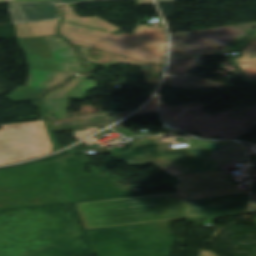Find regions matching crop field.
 <instances>
[{
	"mask_svg": "<svg viewBox=\"0 0 256 256\" xmlns=\"http://www.w3.org/2000/svg\"><path fill=\"white\" fill-rule=\"evenodd\" d=\"M225 171L177 176L175 194L188 200L239 194V187ZM186 200L174 195H158L79 204L89 228L187 218Z\"/></svg>",
	"mask_w": 256,
	"mask_h": 256,
	"instance_id": "obj_1",
	"label": "crop field"
},
{
	"mask_svg": "<svg viewBox=\"0 0 256 256\" xmlns=\"http://www.w3.org/2000/svg\"><path fill=\"white\" fill-rule=\"evenodd\" d=\"M65 21L60 32L73 44L160 65L167 49L164 27L136 26L134 35L112 32L120 29L99 17L79 18L74 8L64 5Z\"/></svg>",
	"mask_w": 256,
	"mask_h": 256,
	"instance_id": "obj_2",
	"label": "crop field"
},
{
	"mask_svg": "<svg viewBox=\"0 0 256 256\" xmlns=\"http://www.w3.org/2000/svg\"><path fill=\"white\" fill-rule=\"evenodd\" d=\"M17 40L26 51L30 78L27 87H17L7 96L12 101L36 99L73 72H84L81 58L60 35Z\"/></svg>",
	"mask_w": 256,
	"mask_h": 256,
	"instance_id": "obj_3",
	"label": "crop field"
},
{
	"mask_svg": "<svg viewBox=\"0 0 256 256\" xmlns=\"http://www.w3.org/2000/svg\"><path fill=\"white\" fill-rule=\"evenodd\" d=\"M130 166L154 163L162 167L178 166L183 174L220 170L207 152L153 158L139 143H133L125 152L116 157Z\"/></svg>",
	"mask_w": 256,
	"mask_h": 256,
	"instance_id": "obj_4",
	"label": "crop field"
},
{
	"mask_svg": "<svg viewBox=\"0 0 256 256\" xmlns=\"http://www.w3.org/2000/svg\"><path fill=\"white\" fill-rule=\"evenodd\" d=\"M191 207L189 217L217 219L220 216H239L248 212V195L187 202Z\"/></svg>",
	"mask_w": 256,
	"mask_h": 256,
	"instance_id": "obj_5",
	"label": "crop field"
},
{
	"mask_svg": "<svg viewBox=\"0 0 256 256\" xmlns=\"http://www.w3.org/2000/svg\"><path fill=\"white\" fill-rule=\"evenodd\" d=\"M84 79L75 76L66 85L44 96L41 101L47 111L53 110L59 120L68 118L69 98L84 100L87 91L95 88V82Z\"/></svg>",
	"mask_w": 256,
	"mask_h": 256,
	"instance_id": "obj_6",
	"label": "crop field"
},
{
	"mask_svg": "<svg viewBox=\"0 0 256 256\" xmlns=\"http://www.w3.org/2000/svg\"><path fill=\"white\" fill-rule=\"evenodd\" d=\"M79 48L87 61L99 63L103 67H109L119 63L143 67V73L147 80V84H159L157 75L162 73L163 67L146 64L130 58L124 59L122 56H116L111 53L101 52L81 46H79Z\"/></svg>",
	"mask_w": 256,
	"mask_h": 256,
	"instance_id": "obj_7",
	"label": "crop field"
},
{
	"mask_svg": "<svg viewBox=\"0 0 256 256\" xmlns=\"http://www.w3.org/2000/svg\"><path fill=\"white\" fill-rule=\"evenodd\" d=\"M190 147L166 150L156 137L139 140V142L153 157L178 155L207 151L208 154L230 141H206L199 139H186Z\"/></svg>",
	"mask_w": 256,
	"mask_h": 256,
	"instance_id": "obj_8",
	"label": "crop field"
},
{
	"mask_svg": "<svg viewBox=\"0 0 256 256\" xmlns=\"http://www.w3.org/2000/svg\"><path fill=\"white\" fill-rule=\"evenodd\" d=\"M11 8L12 20L26 22L57 18L58 10L51 1L14 3Z\"/></svg>",
	"mask_w": 256,
	"mask_h": 256,
	"instance_id": "obj_9",
	"label": "crop field"
},
{
	"mask_svg": "<svg viewBox=\"0 0 256 256\" xmlns=\"http://www.w3.org/2000/svg\"><path fill=\"white\" fill-rule=\"evenodd\" d=\"M209 155L221 170L232 163L246 159L243 147L234 142L221 147Z\"/></svg>",
	"mask_w": 256,
	"mask_h": 256,
	"instance_id": "obj_10",
	"label": "crop field"
},
{
	"mask_svg": "<svg viewBox=\"0 0 256 256\" xmlns=\"http://www.w3.org/2000/svg\"><path fill=\"white\" fill-rule=\"evenodd\" d=\"M59 19L33 22L29 24L15 25L17 38L57 35L55 29Z\"/></svg>",
	"mask_w": 256,
	"mask_h": 256,
	"instance_id": "obj_11",
	"label": "crop field"
},
{
	"mask_svg": "<svg viewBox=\"0 0 256 256\" xmlns=\"http://www.w3.org/2000/svg\"><path fill=\"white\" fill-rule=\"evenodd\" d=\"M245 42H251L243 51L242 58L236 59L237 64L248 76L243 78L246 82L256 80V32L248 37Z\"/></svg>",
	"mask_w": 256,
	"mask_h": 256,
	"instance_id": "obj_12",
	"label": "crop field"
},
{
	"mask_svg": "<svg viewBox=\"0 0 256 256\" xmlns=\"http://www.w3.org/2000/svg\"><path fill=\"white\" fill-rule=\"evenodd\" d=\"M163 170L173 176L182 174L181 171L178 169V167H168V168H163Z\"/></svg>",
	"mask_w": 256,
	"mask_h": 256,
	"instance_id": "obj_13",
	"label": "crop field"
},
{
	"mask_svg": "<svg viewBox=\"0 0 256 256\" xmlns=\"http://www.w3.org/2000/svg\"><path fill=\"white\" fill-rule=\"evenodd\" d=\"M59 1L64 2V3L76 4V3L88 2V1H93V0H59Z\"/></svg>",
	"mask_w": 256,
	"mask_h": 256,
	"instance_id": "obj_14",
	"label": "crop field"
},
{
	"mask_svg": "<svg viewBox=\"0 0 256 256\" xmlns=\"http://www.w3.org/2000/svg\"><path fill=\"white\" fill-rule=\"evenodd\" d=\"M138 5H154L152 0H137Z\"/></svg>",
	"mask_w": 256,
	"mask_h": 256,
	"instance_id": "obj_15",
	"label": "crop field"
},
{
	"mask_svg": "<svg viewBox=\"0 0 256 256\" xmlns=\"http://www.w3.org/2000/svg\"><path fill=\"white\" fill-rule=\"evenodd\" d=\"M252 210L256 211V195H252Z\"/></svg>",
	"mask_w": 256,
	"mask_h": 256,
	"instance_id": "obj_16",
	"label": "crop field"
},
{
	"mask_svg": "<svg viewBox=\"0 0 256 256\" xmlns=\"http://www.w3.org/2000/svg\"><path fill=\"white\" fill-rule=\"evenodd\" d=\"M201 256H215V255L210 253V252H208V251H204V252H202Z\"/></svg>",
	"mask_w": 256,
	"mask_h": 256,
	"instance_id": "obj_17",
	"label": "crop field"
},
{
	"mask_svg": "<svg viewBox=\"0 0 256 256\" xmlns=\"http://www.w3.org/2000/svg\"><path fill=\"white\" fill-rule=\"evenodd\" d=\"M14 1H27V0H0V3L14 2Z\"/></svg>",
	"mask_w": 256,
	"mask_h": 256,
	"instance_id": "obj_18",
	"label": "crop field"
},
{
	"mask_svg": "<svg viewBox=\"0 0 256 256\" xmlns=\"http://www.w3.org/2000/svg\"><path fill=\"white\" fill-rule=\"evenodd\" d=\"M157 2L173 3V0H156Z\"/></svg>",
	"mask_w": 256,
	"mask_h": 256,
	"instance_id": "obj_19",
	"label": "crop field"
},
{
	"mask_svg": "<svg viewBox=\"0 0 256 256\" xmlns=\"http://www.w3.org/2000/svg\"><path fill=\"white\" fill-rule=\"evenodd\" d=\"M256 227V226H255Z\"/></svg>",
	"mask_w": 256,
	"mask_h": 256,
	"instance_id": "obj_20",
	"label": "crop field"
}]
</instances>
